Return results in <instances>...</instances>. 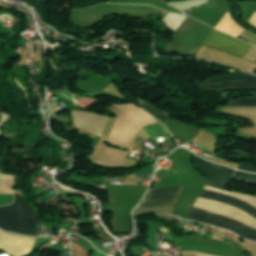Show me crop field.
<instances>
[{"mask_svg": "<svg viewBox=\"0 0 256 256\" xmlns=\"http://www.w3.org/2000/svg\"><path fill=\"white\" fill-rule=\"evenodd\" d=\"M204 190H208V191H211V192H215V193H218V194H222V195H226V196H229V197H233V198H236V199L243 200V201L249 203L250 205H252L256 208V197L237 194V193H232V192H228V191H222L220 189L209 187V186H205ZM204 190H202V192L200 194L201 197H206V198L215 199V200L230 203L232 205H235L237 207L242 208L245 212L249 213L250 215H252L256 218V209L254 207L250 206L249 204H247L243 201H239V200H236V199H233V198L218 195V194L211 193V192L204 191Z\"/></svg>", "mask_w": 256, "mask_h": 256, "instance_id": "crop-field-4", "label": "crop field"}, {"mask_svg": "<svg viewBox=\"0 0 256 256\" xmlns=\"http://www.w3.org/2000/svg\"><path fill=\"white\" fill-rule=\"evenodd\" d=\"M182 187L150 190L139 207L174 206Z\"/></svg>", "mask_w": 256, "mask_h": 256, "instance_id": "crop-field-7", "label": "crop field"}, {"mask_svg": "<svg viewBox=\"0 0 256 256\" xmlns=\"http://www.w3.org/2000/svg\"><path fill=\"white\" fill-rule=\"evenodd\" d=\"M253 73H256V68H254V70L252 71Z\"/></svg>", "mask_w": 256, "mask_h": 256, "instance_id": "crop-field-12", "label": "crop field"}, {"mask_svg": "<svg viewBox=\"0 0 256 256\" xmlns=\"http://www.w3.org/2000/svg\"><path fill=\"white\" fill-rule=\"evenodd\" d=\"M238 169L256 173V168L240 163Z\"/></svg>", "mask_w": 256, "mask_h": 256, "instance_id": "crop-field-10", "label": "crop field"}, {"mask_svg": "<svg viewBox=\"0 0 256 256\" xmlns=\"http://www.w3.org/2000/svg\"><path fill=\"white\" fill-rule=\"evenodd\" d=\"M193 206L226 217L237 219L244 223L245 225H247L248 227L256 229V219L252 218L251 216H249L247 213L240 209L200 197H197ZM197 208L192 207L188 215V218H192L195 220H199L202 222H206L209 224L229 229L231 231H234L241 237L256 241V230H252L236 220L216 215L210 212H206Z\"/></svg>", "mask_w": 256, "mask_h": 256, "instance_id": "crop-field-1", "label": "crop field"}, {"mask_svg": "<svg viewBox=\"0 0 256 256\" xmlns=\"http://www.w3.org/2000/svg\"><path fill=\"white\" fill-rule=\"evenodd\" d=\"M196 166L207 178V185L225 190L233 170L219 165L208 163L198 157H195Z\"/></svg>", "mask_w": 256, "mask_h": 256, "instance_id": "crop-field-5", "label": "crop field"}, {"mask_svg": "<svg viewBox=\"0 0 256 256\" xmlns=\"http://www.w3.org/2000/svg\"><path fill=\"white\" fill-rule=\"evenodd\" d=\"M197 85L210 91L243 90V89L256 90V77L235 72L233 74L214 78L209 81L199 83ZM230 103L231 105H235V106H256V97L239 98V99L230 101Z\"/></svg>", "mask_w": 256, "mask_h": 256, "instance_id": "crop-field-3", "label": "crop field"}, {"mask_svg": "<svg viewBox=\"0 0 256 256\" xmlns=\"http://www.w3.org/2000/svg\"><path fill=\"white\" fill-rule=\"evenodd\" d=\"M197 256H213V255H207V254H201V253H198Z\"/></svg>", "mask_w": 256, "mask_h": 256, "instance_id": "crop-field-11", "label": "crop field"}, {"mask_svg": "<svg viewBox=\"0 0 256 256\" xmlns=\"http://www.w3.org/2000/svg\"><path fill=\"white\" fill-rule=\"evenodd\" d=\"M204 45L217 48L241 57H243V55L250 47L249 45L230 38L214 29L204 42Z\"/></svg>", "mask_w": 256, "mask_h": 256, "instance_id": "crop-field-6", "label": "crop field"}, {"mask_svg": "<svg viewBox=\"0 0 256 256\" xmlns=\"http://www.w3.org/2000/svg\"><path fill=\"white\" fill-rule=\"evenodd\" d=\"M15 202L0 207V228L35 236L34 224H40L35 212L14 192Z\"/></svg>", "mask_w": 256, "mask_h": 256, "instance_id": "crop-field-2", "label": "crop field"}, {"mask_svg": "<svg viewBox=\"0 0 256 256\" xmlns=\"http://www.w3.org/2000/svg\"><path fill=\"white\" fill-rule=\"evenodd\" d=\"M234 178L256 184V175L254 174L236 171Z\"/></svg>", "mask_w": 256, "mask_h": 256, "instance_id": "crop-field-9", "label": "crop field"}, {"mask_svg": "<svg viewBox=\"0 0 256 256\" xmlns=\"http://www.w3.org/2000/svg\"><path fill=\"white\" fill-rule=\"evenodd\" d=\"M137 101L139 102L140 106L145 109L148 113H150L152 116H154L155 118H157L159 121H161L162 123L169 118V115H167L166 113H164L162 110L140 100L137 99Z\"/></svg>", "mask_w": 256, "mask_h": 256, "instance_id": "crop-field-8", "label": "crop field"}]
</instances>
